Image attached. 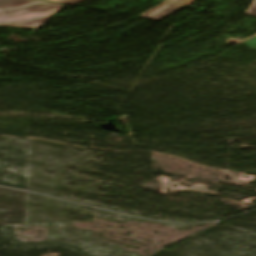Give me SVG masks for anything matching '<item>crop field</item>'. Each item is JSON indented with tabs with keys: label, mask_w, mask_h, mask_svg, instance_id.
Here are the masks:
<instances>
[{
	"label": "crop field",
	"mask_w": 256,
	"mask_h": 256,
	"mask_svg": "<svg viewBox=\"0 0 256 256\" xmlns=\"http://www.w3.org/2000/svg\"><path fill=\"white\" fill-rule=\"evenodd\" d=\"M185 6L175 4L173 2L165 1L148 11L140 14L138 18H144V19H150V20H156L159 21L172 13L176 12L177 10L183 8Z\"/></svg>",
	"instance_id": "obj_2"
},
{
	"label": "crop field",
	"mask_w": 256,
	"mask_h": 256,
	"mask_svg": "<svg viewBox=\"0 0 256 256\" xmlns=\"http://www.w3.org/2000/svg\"><path fill=\"white\" fill-rule=\"evenodd\" d=\"M245 15L256 17V0H254L247 11L245 12Z\"/></svg>",
	"instance_id": "obj_3"
},
{
	"label": "crop field",
	"mask_w": 256,
	"mask_h": 256,
	"mask_svg": "<svg viewBox=\"0 0 256 256\" xmlns=\"http://www.w3.org/2000/svg\"><path fill=\"white\" fill-rule=\"evenodd\" d=\"M256 51V49H254Z\"/></svg>",
	"instance_id": "obj_6"
},
{
	"label": "crop field",
	"mask_w": 256,
	"mask_h": 256,
	"mask_svg": "<svg viewBox=\"0 0 256 256\" xmlns=\"http://www.w3.org/2000/svg\"><path fill=\"white\" fill-rule=\"evenodd\" d=\"M49 1H55V2H59V3L72 5V4L78 3V2L83 1V0H49Z\"/></svg>",
	"instance_id": "obj_5"
},
{
	"label": "crop field",
	"mask_w": 256,
	"mask_h": 256,
	"mask_svg": "<svg viewBox=\"0 0 256 256\" xmlns=\"http://www.w3.org/2000/svg\"><path fill=\"white\" fill-rule=\"evenodd\" d=\"M169 1H173L175 3H179V4L186 5V6H190L196 0H169Z\"/></svg>",
	"instance_id": "obj_4"
},
{
	"label": "crop field",
	"mask_w": 256,
	"mask_h": 256,
	"mask_svg": "<svg viewBox=\"0 0 256 256\" xmlns=\"http://www.w3.org/2000/svg\"><path fill=\"white\" fill-rule=\"evenodd\" d=\"M62 7L37 0H0V25L39 28Z\"/></svg>",
	"instance_id": "obj_1"
}]
</instances>
